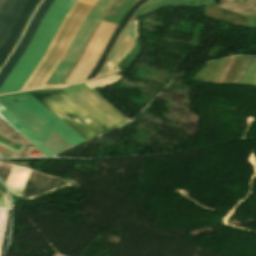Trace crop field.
Instances as JSON below:
<instances>
[{
    "instance_id": "1",
    "label": "crop field",
    "mask_w": 256,
    "mask_h": 256,
    "mask_svg": "<svg viewBox=\"0 0 256 256\" xmlns=\"http://www.w3.org/2000/svg\"><path fill=\"white\" fill-rule=\"evenodd\" d=\"M76 0H55L44 15L28 47L0 87V94L20 91L52 41Z\"/></svg>"
},
{
    "instance_id": "2",
    "label": "crop field",
    "mask_w": 256,
    "mask_h": 256,
    "mask_svg": "<svg viewBox=\"0 0 256 256\" xmlns=\"http://www.w3.org/2000/svg\"><path fill=\"white\" fill-rule=\"evenodd\" d=\"M93 5L97 0H84ZM78 0L68 15L63 20L47 52L21 89V91L31 90L44 85L59 62L64 57L80 25L93 8V5Z\"/></svg>"
},
{
    "instance_id": "3",
    "label": "crop field",
    "mask_w": 256,
    "mask_h": 256,
    "mask_svg": "<svg viewBox=\"0 0 256 256\" xmlns=\"http://www.w3.org/2000/svg\"><path fill=\"white\" fill-rule=\"evenodd\" d=\"M37 101L63 121L85 141L108 131L62 90L33 93Z\"/></svg>"
},
{
    "instance_id": "4",
    "label": "crop field",
    "mask_w": 256,
    "mask_h": 256,
    "mask_svg": "<svg viewBox=\"0 0 256 256\" xmlns=\"http://www.w3.org/2000/svg\"><path fill=\"white\" fill-rule=\"evenodd\" d=\"M114 0H98L90 14L81 25L65 57L50 76L45 85H61L78 60L93 28Z\"/></svg>"
},
{
    "instance_id": "5",
    "label": "crop field",
    "mask_w": 256,
    "mask_h": 256,
    "mask_svg": "<svg viewBox=\"0 0 256 256\" xmlns=\"http://www.w3.org/2000/svg\"><path fill=\"white\" fill-rule=\"evenodd\" d=\"M63 91L109 130L127 122V120L123 118L124 116L122 117L118 112H116L117 110L115 111L85 84Z\"/></svg>"
},
{
    "instance_id": "6",
    "label": "crop field",
    "mask_w": 256,
    "mask_h": 256,
    "mask_svg": "<svg viewBox=\"0 0 256 256\" xmlns=\"http://www.w3.org/2000/svg\"><path fill=\"white\" fill-rule=\"evenodd\" d=\"M115 27L116 25L101 21L86 50L84 51L80 61L78 62L64 85L85 81L89 73L96 65Z\"/></svg>"
},
{
    "instance_id": "7",
    "label": "crop field",
    "mask_w": 256,
    "mask_h": 256,
    "mask_svg": "<svg viewBox=\"0 0 256 256\" xmlns=\"http://www.w3.org/2000/svg\"><path fill=\"white\" fill-rule=\"evenodd\" d=\"M0 102L59 153L73 147L12 95L1 97Z\"/></svg>"
},
{
    "instance_id": "8",
    "label": "crop field",
    "mask_w": 256,
    "mask_h": 256,
    "mask_svg": "<svg viewBox=\"0 0 256 256\" xmlns=\"http://www.w3.org/2000/svg\"><path fill=\"white\" fill-rule=\"evenodd\" d=\"M0 117L4 119L8 124H10L15 130H17L22 136H24L28 141H30L35 147H37L46 156H54L58 154L57 151H55L51 146H49L44 140H42L37 134H35L31 129H29L24 123H22L17 117H15L11 112H9L1 104H0ZM1 118H0V133L12 139H15L25 145L31 144Z\"/></svg>"
},
{
    "instance_id": "9",
    "label": "crop field",
    "mask_w": 256,
    "mask_h": 256,
    "mask_svg": "<svg viewBox=\"0 0 256 256\" xmlns=\"http://www.w3.org/2000/svg\"><path fill=\"white\" fill-rule=\"evenodd\" d=\"M20 102H22L26 107H28L32 112H34L38 117H43L51 114L45 107H43L39 102H37L29 94L24 95H13ZM45 123H47L51 128H53L57 133H59L63 138H65L73 146L84 142L77 134H75L71 129H69L64 123H62L53 114L41 118Z\"/></svg>"
},
{
    "instance_id": "10",
    "label": "crop field",
    "mask_w": 256,
    "mask_h": 256,
    "mask_svg": "<svg viewBox=\"0 0 256 256\" xmlns=\"http://www.w3.org/2000/svg\"><path fill=\"white\" fill-rule=\"evenodd\" d=\"M137 40V22H131L120 35L105 67L99 73V76L119 71L116 64L133 49Z\"/></svg>"
},
{
    "instance_id": "11",
    "label": "crop field",
    "mask_w": 256,
    "mask_h": 256,
    "mask_svg": "<svg viewBox=\"0 0 256 256\" xmlns=\"http://www.w3.org/2000/svg\"><path fill=\"white\" fill-rule=\"evenodd\" d=\"M53 1L54 0H44L42 2V4L40 5V7L35 12L19 45L17 46V48L15 49V51L13 52V54L11 55V57L5 64V66L0 71V86L3 83V81L5 80V78L7 77V75L9 74V72L11 71V69L13 68V66L15 65V63L17 62V60L19 59V57L21 56V54L23 53V51L25 50V48L27 47V45H28L31 37L33 36L37 26L39 25L43 15L48 10V8L50 7V5L52 4Z\"/></svg>"
},
{
    "instance_id": "12",
    "label": "crop field",
    "mask_w": 256,
    "mask_h": 256,
    "mask_svg": "<svg viewBox=\"0 0 256 256\" xmlns=\"http://www.w3.org/2000/svg\"><path fill=\"white\" fill-rule=\"evenodd\" d=\"M40 0H28L21 9L17 19L15 20L11 30L9 31L5 41L0 47V64L10 52L15 44L19 34L21 33L25 23L27 22L31 12Z\"/></svg>"
},
{
    "instance_id": "13",
    "label": "crop field",
    "mask_w": 256,
    "mask_h": 256,
    "mask_svg": "<svg viewBox=\"0 0 256 256\" xmlns=\"http://www.w3.org/2000/svg\"><path fill=\"white\" fill-rule=\"evenodd\" d=\"M69 184L68 182L51 177L36 171H31L29 179L27 181V184L25 186V189L23 191V195L27 197H32L36 194L55 189L64 185ZM49 192V191H48ZM46 193V192H45ZM43 194V193H42ZM40 195V194H39ZM22 198H25L29 200L28 198L22 196Z\"/></svg>"
},
{
    "instance_id": "14",
    "label": "crop field",
    "mask_w": 256,
    "mask_h": 256,
    "mask_svg": "<svg viewBox=\"0 0 256 256\" xmlns=\"http://www.w3.org/2000/svg\"><path fill=\"white\" fill-rule=\"evenodd\" d=\"M27 0H0V45Z\"/></svg>"
},
{
    "instance_id": "15",
    "label": "crop field",
    "mask_w": 256,
    "mask_h": 256,
    "mask_svg": "<svg viewBox=\"0 0 256 256\" xmlns=\"http://www.w3.org/2000/svg\"><path fill=\"white\" fill-rule=\"evenodd\" d=\"M147 0H139L138 2H136L126 13V15L123 17V19L121 20V22L119 23V25L117 26V28L114 30V32L112 33L97 65L95 66V68L93 69V71L91 72V74L88 76V78L86 80H89L91 78H94L95 75L97 74V72L100 70V68L102 67L106 57L108 56L112 46L114 45L118 35L120 34V32L122 31V29L125 27V25L127 24V22L129 21V19L132 17V15L134 14V12L137 10V8L143 4L144 2H146Z\"/></svg>"
},
{
    "instance_id": "16",
    "label": "crop field",
    "mask_w": 256,
    "mask_h": 256,
    "mask_svg": "<svg viewBox=\"0 0 256 256\" xmlns=\"http://www.w3.org/2000/svg\"><path fill=\"white\" fill-rule=\"evenodd\" d=\"M30 171L31 170L15 165L13 166V169L6 182L11 193L20 196Z\"/></svg>"
},
{
    "instance_id": "17",
    "label": "crop field",
    "mask_w": 256,
    "mask_h": 256,
    "mask_svg": "<svg viewBox=\"0 0 256 256\" xmlns=\"http://www.w3.org/2000/svg\"><path fill=\"white\" fill-rule=\"evenodd\" d=\"M199 2V0H150L146 4H144L140 10L136 13V17L143 16L155 9L172 6V5H180V4H189Z\"/></svg>"
},
{
    "instance_id": "18",
    "label": "crop field",
    "mask_w": 256,
    "mask_h": 256,
    "mask_svg": "<svg viewBox=\"0 0 256 256\" xmlns=\"http://www.w3.org/2000/svg\"><path fill=\"white\" fill-rule=\"evenodd\" d=\"M219 8L252 18L256 20V10L250 9V8H246L225 0H222Z\"/></svg>"
},
{
    "instance_id": "19",
    "label": "crop field",
    "mask_w": 256,
    "mask_h": 256,
    "mask_svg": "<svg viewBox=\"0 0 256 256\" xmlns=\"http://www.w3.org/2000/svg\"><path fill=\"white\" fill-rule=\"evenodd\" d=\"M11 168L0 167V178L6 182Z\"/></svg>"
},
{
    "instance_id": "20",
    "label": "crop field",
    "mask_w": 256,
    "mask_h": 256,
    "mask_svg": "<svg viewBox=\"0 0 256 256\" xmlns=\"http://www.w3.org/2000/svg\"><path fill=\"white\" fill-rule=\"evenodd\" d=\"M253 59H254V57H251V58H250V60H249V62L247 63V65H246V67H245V69H244V71H243V73H242V75H241V77H240L238 83H241V81H242L244 75L246 74V72H247L249 66L251 65Z\"/></svg>"
},
{
    "instance_id": "21",
    "label": "crop field",
    "mask_w": 256,
    "mask_h": 256,
    "mask_svg": "<svg viewBox=\"0 0 256 256\" xmlns=\"http://www.w3.org/2000/svg\"><path fill=\"white\" fill-rule=\"evenodd\" d=\"M249 58H250V57H246V58H245V60H244V62H243V64H242V66H241V68H240L238 74L236 75V77H235L233 83H236V81H237L239 75L241 74V72H242L243 68L245 67L246 63L248 62Z\"/></svg>"
},
{
    "instance_id": "22",
    "label": "crop field",
    "mask_w": 256,
    "mask_h": 256,
    "mask_svg": "<svg viewBox=\"0 0 256 256\" xmlns=\"http://www.w3.org/2000/svg\"><path fill=\"white\" fill-rule=\"evenodd\" d=\"M4 194H6V196H7V193H6V192H5ZM4 194H3V195H4ZM3 195L0 197V207L7 208V207H8V202H9L8 196H7L8 202H7V200H6V197L4 196V197H5V201H6V206H7V207H5V201H4ZM9 208H10V205H9Z\"/></svg>"
},
{
    "instance_id": "23",
    "label": "crop field",
    "mask_w": 256,
    "mask_h": 256,
    "mask_svg": "<svg viewBox=\"0 0 256 256\" xmlns=\"http://www.w3.org/2000/svg\"><path fill=\"white\" fill-rule=\"evenodd\" d=\"M245 6L252 7L256 9V0H247Z\"/></svg>"
},
{
    "instance_id": "24",
    "label": "crop field",
    "mask_w": 256,
    "mask_h": 256,
    "mask_svg": "<svg viewBox=\"0 0 256 256\" xmlns=\"http://www.w3.org/2000/svg\"><path fill=\"white\" fill-rule=\"evenodd\" d=\"M0 191H2V185H1V183H0Z\"/></svg>"
},
{
    "instance_id": "25",
    "label": "crop field",
    "mask_w": 256,
    "mask_h": 256,
    "mask_svg": "<svg viewBox=\"0 0 256 256\" xmlns=\"http://www.w3.org/2000/svg\"><path fill=\"white\" fill-rule=\"evenodd\" d=\"M201 1H204V0H201Z\"/></svg>"
},
{
    "instance_id": "26",
    "label": "crop field",
    "mask_w": 256,
    "mask_h": 256,
    "mask_svg": "<svg viewBox=\"0 0 256 256\" xmlns=\"http://www.w3.org/2000/svg\"><path fill=\"white\" fill-rule=\"evenodd\" d=\"M230 1H232V0H230Z\"/></svg>"
}]
</instances>
